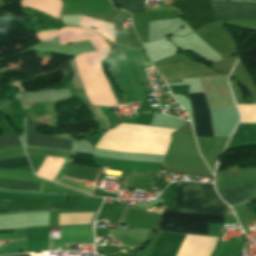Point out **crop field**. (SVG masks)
I'll return each mask as SVG.
<instances>
[{
	"label": "crop field",
	"instance_id": "8a807250",
	"mask_svg": "<svg viewBox=\"0 0 256 256\" xmlns=\"http://www.w3.org/2000/svg\"><path fill=\"white\" fill-rule=\"evenodd\" d=\"M36 34L40 41L58 38L60 45L89 39L97 51L80 54L74 58L84 91L93 105L117 106L99 62L109 52V46L102 36L86 29L71 27Z\"/></svg>",
	"mask_w": 256,
	"mask_h": 256
},
{
	"label": "crop field",
	"instance_id": "ac0d7876",
	"mask_svg": "<svg viewBox=\"0 0 256 256\" xmlns=\"http://www.w3.org/2000/svg\"><path fill=\"white\" fill-rule=\"evenodd\" d=\"M173 129L120 124L107 131L95 148L125 153H154L164 155Z\"/></svg>",
	"mask_w": 256,
	"mask_h": 256
},
{
	"label": "crop field",
	"instance_id": "34b2d1b8",
	"mask_svg": "<svg viewBox=\"0 0 256 256\" xmlns=\"http://www.w3.org/2000/svg\"><path fill=\"white\" fill-rule=\"evenodd\" d=\"M107 62L124 90L127 102L147 100L141 83L149 82L144 68L152 65L146 53L114 45Z\"/></svg>",
	"mask_w": 256,
	"mask_h": 256
},
{
	"label": "crop field",
	"instance_id": "412701ff",
	"mask_svg": "<svg viewBox=\"0 0 256 256\" xmlns=\"http://www.w3.org/2000/svg\"><path fill=\"white\" fill-rule=\"evenodd\" d=\"M226 206L212 184L182 182L177 184L172 206L164 210L229 215Z\"/></svg>",
	"mask_w": 256,
	"mask_h": 256
},
{
	"label": "crop field",
	"instance_id": "f4fd0767",
	"mask_svg": "<svg viewBox=\"0 0 256 256\" xmlns=\"http://www.w3.org/2000/svg\"><path fill=\"white\" fill-rule=\"evenodd\" d=\"M224 222L222 216L162 211L160 230L208 236L206 223Z\"/></svg>",
	"mask_w": 256,
	"mask_h": 256
},
{
	"label": "crop field",
	"instance_id": "dd49c442",
	"mask_svg": "<svg viewBox=\"0 0 256 256\" xmlns=\"http://www.w3.org/2000/svg\"><path fill=\"white\" fill-rule=\"evenodd\" d=\"M216 21L230 19L256 20V2H225L211 0Z\"/></svg>",
	"mask_w": 256,
	"mask_h": 256
},
{
	"label": "crop field",
	"instance_id": "e52e79f7",
	"mask_svg": "<svg viewBox=\"0 0 256 256\" xmlns=\"http://www.w3.org/2000/svg\"><path fill=\"white\" fill-rule=\"evenodd\" d=\"M195 122V136H214L213 124L203 93L189 94Z\"/></svg>",
	"mask_w": 256,
	"mask_h": 256
},
{
	"label": "crop field",
	"instance_id": "d8731c3e",
	"mask_svg": "<svg viewBox=\"0 0 256 256\" xmlns=\"http://www.w3.org/2000/svg\"><path fill=\"white\" fill-rule=\"evenodd\" d=\"M93 161L98 166L127 169L126 176H156L163 164L120 161L93 157Z\"/></svg>",
	"mask_w": 256,
	"mask_h": 256
},
{
	"label": "crop field",
	"instance_id": "5a996713",
	"mask_svg": "<svg viewBox=\"0 0 256 256\" xmlns=\"http://www.w3.org/2000/svg\"><path fill=\"white\" fill-rule=\"evenodd\" d=\"M26 145L70 150L72 141L36 134V125L25 117Z\"/></svg>",
	"mask_w": 256,
	"mask_h": 256
},
{
	"label": "crop field",
	"instance_id": "3316defc",
	"mask_svg": "<svg viewBox=\"0 0 256 256\" xmlns=\"http://www.w3.org/2000/svg\"><path fill=\"white\" fill-rule=\"evenodd\" d=\"M185 234L162 233L149 256H176ZM220 239L216 238L208 256H212Z\"/></svg>",
	"mask_w": 256,
	"mask_h": 256
},
{
	"label": "crop field",
	"instance_id": "28ad6ade",
	"mask_svg": "<svg viewBox=\"0 0 256 256\" xmlns=\"http://www.w3.org/2000/svg\"><path fill=\"white\" fill-rule=\"evenodd\" d=\"M218 193L230 206L254 200L256 199V182L219 190Z\"/></svg>",
	"mask_w": 256,
	"mask_h": 256
},
{
	"label": "crop field",
	"instance_id": "d1516ede",
	"mask_svg": "<svg viewBox=\"0 0 256 256\" xmlns=\"http://www.w3.org/2000/svg\"><path fill=\"white\" fill-rule=\"evenodd\" d=\"M21 5L30 7L49 15L59 17L62 2L60 0H22Z\"/></svg>",
	"mask_w": 256,
	"mask_h": 256
},
{
	"label": "crop field",
	"instance_id": "22f410ed",
	"mask_svg": "<svg viewBox=\"0 0 256 256\" xmlns=\"http://www.w3.org/2000/svg\"><path fill=\"white\" fill-rule=\"evenodd\" d=\"M80 26L101 33L109 40L115 42L114 39V24L81 16Z\"/></svg>",
	"mask_w": 256,
	"mask_h": 256
},
{
	"label": "crop field",
	"instance_id": "cbeb9de0",
	"mask_svg": "<svg viewBox=\"0 0 256 256\" xmlns=\"http://www.w3.org/2000/svg\"><path fill=\"white\" fill-rule=\"evenodd\" d=\"M68 198L103 200V198H81V197H73V196H69ZM76 199H67L63 209L97 211L102 202V201H94V200H76Z\"/></svg>",
	"mask_w": 256,
	"mask_h": 256
},
{
	"label": "crop field",
	"instance_id": "5142ce71",
	"mask_svg": "<svg viewBox=\"0 0 256 256\" xmlns=\"http://www.w3.org/2000/svg\"><path fill=\"white\" fill-rule=\"evenodd\" d=\"M130 13L145 12V0H111Z\"/></svg>",
	"mask_w": 256,
	"mask_h": 256
},
{
	"label": "crop field",
	"instance_id": "d9b57169",
	"mask_svg": "<svg viewBox=\"0 0 256 256\" xmlns=\"http://www.w3.org/2000/svg\"><path fill=\"white\" fill-rule=\"evenodd\" d=\"M38 184L0 180V188L37 191Z\"/></svg>",
	"mask_w": 256,
	"mask_h": 256
},
{
	"label": "crop field",
	"instance_id": "733c2abd",
	"mask_svg": "<svg viewBox=\"0 0 256 256\" xmlns=\"http://www.w3.org/2000/svg\"><path fill=\"white\" fill-rule=\"evenodd\" d=\"M241 122H256V104L238 106Z\"/></svg>",
	"mask_w": 256,
	"mask_h": 256
},
{
	"label": "crop field",
	"instance_id": "4a817a6b",
	"mask_svg": "<svg viewBox=\"0 0 256 256\" xmlns=\"http://www.w3.org/2000/svg\"><path fill=\"white\" fill-rule=\"evenodd\" d=\"M25 166H30L26 159V156L0 160L1 169H12Z\"/></svg>",
	"mask_w": 256,
	"mask_h": 256
},
{
	"label": "crop field",
	"instance_id": "bc2a9ffb",
	"mask_svg": "<svg viewBox=\"0 0 256 256\" xmlns=\"http://www.w3.org/2000/svg\"><path fill=\"white\" fill-rule=\"evenodd\" d=\"M40 209L37 206L33 205H25V204H17V203H9L0 201V211H10L14 212L16 210L19 211H27V210H35Z\"/></svg>",
	"mask_w": 256,
	"mask_h": 256
},
{
	"label": "crop field",
	"instance_id": "214f88e0",
	"mask_svg": "<svg viewBox=\"0 0 256 256\" xmlns=\"http://www.w3.org/2000/svg\"><path fill=\"white\" fill-rule=\"evenodd\" d=\"M0 200L17 202V203H25V204H33V205H41V206L58 207V208L63 207V205H61V204H54V203H47V202H40V201H33V200H25V199H18V198L4 197V196H0Z\"/></svg>",
	"mask_w": 256,
	"mask_h": 256
},
{
	"label": "crop field",
	"instance_id": "92a150f3",
	"mask_svg": "<svg viewBox=\"0 0 256 256\" xmlns=\"http://www.w3.org/2000/svg\"><path fill=\"white\" fill-rule=\"evenodd\" d=\"M21 145L17 135L3 133L0 135V148Z\"/></svg>",
	"mask_w": 256,
	"mask_h": 256
},
{
	"label": "crop field",
	"instance_id": "dafd665d",
	"mask_svg": "<svg viewBox=\"0 0 256 256\" xmlns=\"http://www.w3.org/2000/svg\"><path fill=\"white\" fill-rule=\"evenodd\" d=\"M168 187H170V188H173L172 189V191H171V189H169V188H166L165 189V191H164V193H167V194H169V192H170V194L168 195V197H167V194H164V193H162V196H165V197H167V198H165V197H162V196H160V198H162V199H164V200H167V201H173V199H174V195H175V187H176V182L175 183H172V184H170ZM172 203H170V202H164V204L163 205H165V206H170Z\"/></svg>",
	"mask_w": 256,
	"mask_h": 256
},
{
	"label": "crop field",
	"instance_id": "00972430",
	"mask_svg": "<svg viewBox=\"0 0 256 256\" xmlns=\"http://www.w3.org/2000/svg\"><path fill=\"white\" fill-rule=\"evenodd\" d=\"M157 180H159V181H161V182H164V179L162 178V176H160ZM155 181L154 182V185L153 186H155V187H159L160 186V184H161V182H159V181ZM167 184H169V182H164V183H162V185H164V186H166ZM158 189V188H157ZM156 189V190H157ZM163 189V187H159V189L158 190H162Z\"/></svg>",
	"mask_w": 256,
	"mask_h": 256
},
{
	"label": "crop field",
	"instance_id": "a9b5d70f",
	"mask_svg": "<svg viewBox=\"0 0 256 256\" xmlns=\"http://www.w3.org/2000/svg\"><path fill=\"white\" fill-rule=\"evenodd\" d=\"M15 256H30L29 254H24V255H15Z\"/></svg>",
	"mask_w": 256,
	"mask_h": 256
},
{
	"label": "crop field",
	"instance_id": "4177f3b9",
	"mask_svg": "<svg viewBox=\"0 0 256 256\" xmlns=\"http://www.w3.org/2000/svg\"><path fill=\"white\" fill-rule=\"evenodd\" d=\"M254 76V79H255V82H256V75H253Z\"/></svg>",
	"mask_w": 256,
	"mask_h": 256
}]
</instances>
